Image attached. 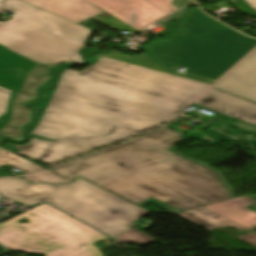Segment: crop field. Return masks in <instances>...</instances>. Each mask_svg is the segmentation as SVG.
<instances>
[{"label":"crop field","instance_id":"crop-field-9","mask_svg":"<svg viewBox=\"0 0 256 256\" xmlns=\"http://www.w3.org/2000/svg\"><path fill=\"white\" fill-rule=\"evenodd\" d=\"M195 104L256 125V104L211 88Z\"/></svg>","mask_w":256,"mask_h":256},{"label":"crop field","instance_id":"crop-field-12","mask_svg":"<svg viewBox=\"0 0 256 256\" xmlns=\"http://www.w3.org/2000/svg\"><path fill=\"white\" fill-rule=\"evenodd\" d=\"M254 203L255 199L244 196L205 207L252 230L256 227V213L245 207Z\"/></svg>","mask_w":256,"mask_h":256},{"label":"crop field","instance_id":"crop-field-17","mask_svg":"<svg viewBox=\"0 0 256 256\" xmlns=\"http://www.w3.org/2000/svg\"><path fill=\"white\" fill-rule=\"evenodd\" d=\"M30 182H43V183H53V184H62V183H70L69 181L45 170L40 173L21 177Z\"/></svg>","mask_w":256,"mask_h":256},{"label":"crop field","instance_id":"crop-field-25","mask_svg":"<svg viewBox=\"0 0 256 256\" xmlns=\"http://www.w3.org/2000/svg\"><path fill=\"white\" fill-rule=\"evenodd\" d=\"M3 11V9H2V6H1V3H0V13Z\"/></svg>","mask_w":256,"mask_h":256},{"label":"crop field","instance_id":"crop-field-19","mask_svg":"<svg viewBox=\"0 0 256 256\" xmlns=\"http://www.w3.org/2000/svg\"><path fill=\"white\" fill-rule=\"evenodd\" d=\"M228 3L235 6L239 12L256 17V0H232Z\"/></svg>","mask_w":256,"mask_h":256},{"label":"crop field","instance_id":"crop-field-3","mask_svg":"<svg viewBox=\"0 0 256 256\" xmlns=\"http://www.w3.org/2000/svg\"><path fill=\"white\" fill-rule=\"evenodd\" d=\"M179 27L187 30L148 48L157 61L186 67L185 72L216 80L256 46L245 37L204 15L199 8L188 11Z\"/></svg>","mask_w":256,"mask_h":256},{"label":"crop field","instance_id":"crop-field-8","mask_svg":"<svg viewBox=\"0 0 256 256\" xmlns=\"http://www.w3.org/2000/svg\"><path fill=\"white\" fill-rule=\"evenodd\" d=\"M139 31L168 15L145 0H87Z\"/></svg>","mask_w":256,"mask_h":256},{"label":"crop field","instance_id":"crop-field-4","mask_svg":"<svg viewBox=\"0 0 256 256\" xmlns=\"http://www.w3.org/2000/svg\"><path fill=\"white\" fill-rule=\"evenodd\" d=\"M0 193L27 205L47 201L109 236L131 228L129 224L148 213L81 178L59 186L0 179Z\"/></svg>","mask_w":256,"mask_h":256},{"label":"crop field","instance_id":"crop-field-13","mask_svg":"<svg viewBox=\"0 0 256 256\" xmlns=\"http://www.w3.org/2000/svg\"><path fill=\"white\" fill-rule=\"evenodd\" d=\"M206 230L219 229L223 227H236L242 231L247 229L201 207L180 214H176Z\"/></svg>","mask_w":256,"mask_h":256},{"label":"crop field","instance_id":"crop-field-11","mask_svg":"<svg viewBox=\"0 0 256 256\" xmlns=\"http://www.w3.org/2000/svg\"><path fill=\"white\" fill-rule=\"evenodd\" d=\"M37 8L69 19L75 23L104 11L85 0H21Z\"/></svg>","mask_w":256,"mask_h":256},{"label":"crop field","instance_id":"crop-field-14","mask_svg":"<svg viewBox=\"0 0 256 256\" xmlns=\"http://www.w3.org/2000/svg\"><path fill=\"white\" fill-rule=\"evenodd\" d=\"M4 164L17 168L25 173L41 169V167L0 148V166Z\"/></svg>","mask_w":256,"mask_h":256},{"label":"crop field","instance_id":"crop-field-20","mask_svg":"<svg viewBox=\"0 0 256 256\" xmlns=\"http://www.w3.org/2000/svg\"><path fill=\"white\" fill-rule=\"evenodd\" d=\"M229 123L233 124V125H235L237 127H240L242 129H245V130H247L249 132H252V133L256 134V126H253L251 124L245 123L243 121H240V122H237V123L229 121Z\"/></svg>","mask_w":256,"mask_h":256},{"label":"crop field","instance_id":"crop-field-15","mask_svg":"<svg viewBox=\"0 0 256 256\" xmlns=\"http://www.w3.org/2000/svg\"><path fill=\"white\" fill-rule=\"evenodd\" d=\"M116 242L119 243H130V244H139V245H145L149 244L153 238L133 229L129 230L117 237H114Z\"/></svg>","mask_w":256,"mask_h":256},{"label":"crop field","instance_id":"crop-field-24","mask_svg":"<svg viewBox=\"0 0 256 256\" xmlns=\"http://www.w3.org/2000/svg\"><path fill=\"white\" fill-rule=\"evenodd\" d=\"M7 252H8V251H7L4 247H2V246L0 245V256L6 255Z\"/></svg>","mask_w":256,"mask_h":256},{"label":"crop field","instance_id":"crop-field-21","mask_svg":"<svg viewBox=\"0 0 256 256\" xmlns=\"http://www.w3.org/2000/svg\"><path fill=\"white\" fill-rule=\"evenodd\" d=\"M222 7L228 9L231 6H229V5H227V4L223 3V2H219V3H215V4L211 5V6H206L204 8L207 9L208 11H210V12L215 13L216 10H218V9H220Z\"/></svg>","mask_w":256,"mask_h":256},{"label":"crop field","instance_id":"crop-field-6","mask_svg":"<svg viewBox=\"0 0 256 256\" xmlns=\"http://www.w3.org/2000/svg\"><path fill=\"white\" fill-rule=\"evenodd\" d=\"M23 217L29 222L16 223ZM106 238L48 204L0 224V244L14 251L46 256H104L92 244Z\"/></svg>","mask_w":256,"mask_h":256},{"label":"crop field","instance_id":"crop-field-2","mask_svg":"<svg viewBox=\"0 0 256 256\" xmlns=\"http://www.w3.org/2000/svg\"><path fill=\"white\" fill-rule=\"evenodd\" d=\"M180 135L163 128L48 170L173 214L235 197L219 171L169 149Z\"/></svg>","mask_w":256,"mask_h":256},{"label":"crop field","instance_id":"crop-field-18","mask_svg":"<svg viewBox=\"0 0 256 256\" xmlns=\"http://www.w3.org/2000/svg\"><path fill=\"white\" fill-rule=\"evenodd\" d=\"M146 1L150 2L151 4L157 6L158 8L162 9L163 11H165L169 14L192 3L189 0H184L186 2H183L181 0H146ZM179 1L183 2L184 4L181 5L180 3H178ZM171 2H173L175 4L172 5V4H170Z\"/></svg>","mask_w":256,"mask_h":256},{"label":"crop field","instance_id":"crop-field-16","mask_svg":"<svg viewBox=\"0 0 256 256\" xmlns=\"http://www.w3.org/2000/svg\"><path fill=\"white\" fill-rule=\"evenodd\" d=\"M92 19L113 29V30L127 29V30H129L130 33L138 32L134 28L123 23L122 21L118 20L117 18L113 17L112 15H110L108 13H104V14L94 17Z\"/></svg>","mask_w":256,"mask_h":256},{"label":"crop field","instance_id":"crop-field-23","mask_svg":"<svg viewBox=\"0 0 256 256\" xmlns=\"http://www.w3.org/2000/svg\"><path fill=\"white\" fill-rule=\"evenodd\" d=\"M182 74H180V76L188 77V78L199 80V81H202V82H206V83H210V84H212L214 82V81L202 79V78H199V77H195V76H192V75H189V74H185V75H182Z\"/></svg>","mask_w":256,"mask_h":256},{"label":"crop field","instance_id":"crop-field-10","mask_svg":"<svg viewBox=\"0 0 256 256\" xmlns=\"http://www.w3.org/2000/svg\"><path fill=\"white\" fill-rule=\"evenodd\" d=\"M215 87L256 101V50Z\"/></svg>","mask_w":256,"mask_h":256},{"label":"crop field","instance_id":"crop-field-5","mask_svg":"<svg viewBox=\"0 0 256 256\" xmlns=\"http://www.w3.org/2000/svg\"><path fill=\"white\" fill-rule=\"evenodd\" d=\"M13 19L0 22V44L37 63L83 62L77 53L91 30L18 0L4 2Z\"/></svg>","mask_w":256,"mask_h":256},{"label":"crop field","instance_id":"crop-field-22","mask_svg":"<svg viewBox=\"0 0 256 256\" xmlns=\"http://www.w3.org/2000/svg\"><path fill=\"white\" fill-rule=\"evenodd\" d=\"M236 238L256 246V234L255 233L236 237Z\"/></svg>","mask_w":256,"mask_h":256},{"label":"crop field","instance_id":"crop-field-1","mask_svg":"<svg viewBox=\"0 0 256 256\" xmlns=\"http://www.w3.org/2000/svg\"><path fill=\"white\" fill-rule=\"evenodd\" d=\"M81 72L65 70L47 100L32 107L40 124L18 154L53 165L177 118L209 84L159 68L143 53L112 50ZM124 87L123 89L121 87Z\"/></svg>","mask_w":256,"mask_h":256},{"label":"crop field","instance_id":"crop-field-7","mask_svg":"<svg viewBox=\"0 0 256 256\" xmlns=\"http://www.w3.org/2000/svg\"><path fill=\"white\" fill-rule=\"evenodd\" d=\"M5 48L0 45V135L19 141L30 111L17 103L35 98L36 88L50 77L46 68Z\"/></svg>","mask_w":256,"mask_h":256}]
</instances>
